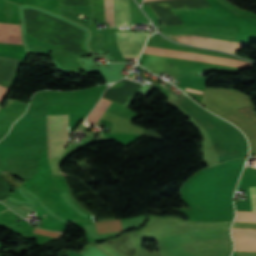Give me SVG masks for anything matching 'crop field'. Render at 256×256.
Segmentation results:
<instances>
[{
  "instance_id": "1",
  "label": "crop field",
  "mask_w": 256,
  "mask_h": 256,
  "mask_svg": "<svg viewBox=\"0 0 256 256\" xmlns=\"http://www.w3.org/2000/svg\"><path fill=\"white\" fill-rule=\"evenodd\" d=\"M163 256H229V230L203 231L158 240Z\"/></svg>"
},
{
  "instance_id": "2",
  "label": "crop field",
  "mask_w": 256,
  "mask_h": 256,
  "mask_svg": "<svg viewBox=\"0 0 256 256\" xmlns=\"http://www.w3.org/2000/svg\"><path fill=\"white\" fill-rule=\"evenodd\" d=\"M53 157L68 143V115H51ZM48 156L52 158L50 115H48Z\"/></svg>"
},
{
  "instance_id": "3",
  "label": "crop field",
  "mask_w": 256,
  "mask_h": 256,
  "mask_svg": "<svg viewBox=\"0 0 256 256\" xmlns=\"http://www.w3.org/2000/svg\"><path fill=\"white\" fill-rule=\"evenodd\" d=\"M169 37L181 43L214 48L218 50L227 51L232 54L236 53L242 47L249 44L247 42L213 38V37L200 36V35L169 36Z\"/></svg>"
},
{
  "instance_id": "4",
  "label": "crop field",
  "mask_w": 256,
  "mask_h": 256,
  "mask_svg": "<svg viewBox=\"0 0 256 256\" xmlns=\"http://www.w3.org/2000/svg\"><path fill=\"white\" fill-rule=\"evenodd\" d=\"M117 45L124 57L138 58L149 33L116 32Z\"/></svg>"
},
{
  "instance_id": "5",
  "label": "crop field",
  "mask_w": 256,
  "mask_h": 256,
  "mask_svg": "<svg viewBox=\"0 0 256 256\" xmlns=\"http://www.w3.org/2000/svg\"><path fill=\"white\" fill-rule=\"evenodd\" d=\"M0 43L23 45L20 36V24H0Z\"/></svg>"
},
{
  "instance_id": "6",
  "label": "crop field",
  "mask_w": 256,
  "mask_h": 256,
  "mask_svg": "<svg viewBox=\"0 0 256 256\" xmlns=\"http://www.w3.org/2000/svg\"><path fill=\"white\" fill-rule=\"evenodd\" d=\"M114 11L116 26H126L130 24L128 0H114Z\"/></svg>"
},
{
  "instance_id": "7",
  "label": "crop field",
  "mask_w": 256,
  "mask_h": 256,
  "mask_svg": "<svg viewBox=\"0 0 256 256\" xmlns=\"http://www.w3.org/2000/svg\"><path fill=\"white\" fill-rule=\"evenodd\" d=\"M98 234L123 231L121 220L95 222Z\"/></svg>"
},
{
  "instance_id": "8",
  "label": "crop field",
  "mask_w": 256,
  "mask_h": 256,
  "mask_svg": "<svg viewBox=\"0 0 256 256\" xmlns=\"http://www.w3.org/2000/svg\"><path fill=\"white\" fill-rule=\"evenodd\" d=\"M111 101L101 98L94 109L87 117V121L95 124L97 120L103 115Z\"/></svg>"
},
{
  "instance_id": "9",
  "label": "crop field",
  "mask_w": 256,
  "mask_h": 256,
  "mask_svg": "<svg viewBox=\"0 0 256 256\" xmlns=\"http://www.w3.org/2000/svg\"><path fill=\"white\" fill-rule=\"evenodd\" d=\"M107 18L114 20L113 0H105Z\"/></svg>"
},
{
  "instance_id": "10",
  "label": "crop field",
  "mask_w": 256,
  "mask_h": 256,
  "mask_svg": "<svg viewBox=\"0 0 256 256\" xmlns=\"http://www.w3.org/2000/svg\"><path fill=\"white\" fill-rule=\"evenodd\" d=\"M34 233H38V234H42V235H46V236H50V237H54V238H56V236L58 235L57 232L43 230V229H39V228H36Z\"/></svg>"
},
{
  "instance_id": "11",
  "label": "crop field",
  "mask_w": 256,
  "mask_h": 256,
  "mask_svg": "<svg viewBox=\"0 0 256 256\" xmlns=\"http://www.w3.org/2000/svg\"><path fill=\"white\" fill-rule=\"evenodd\" d=\"M249 189L252 201V208L253 211H256V187H249Z\"/></svg>"
},
{
  "instance_id": "12",
  "label": "crop field",
  "mask_w": 256,
  "mask_h": 256,
  "mask_svg": "<svg viewBox=\"0 0 256 256\" xmlns=\"http://www.w3.org/2000/svg\"><path fill=\"white\" fill-rule=\"evenodd\" d=\"M185 90H187V91H192V92H196V93H200V94H202V92H199V91H195V90H191V89H185Z\"/></svg>"
},
{
  "instance_id": "13",
  "label": "crop field",
  "mask_w": 256,
  "mask_h": 256,
  "mask_svg": "<svg viewBox=\"0 0 256 256\" xmlns=\"http://www.w3.org/2000/svg\"><path fill=\"white\" fill-rule=\"evenodd\" d=\"M151 4L150 2L143 3V5Z\"/></svg>"
},
{
  "instance_id": "14",
  "label": "crop field",
  "mask_w": 256,
  "mask_h": 256,
  "mask_svg": "<svg viewBox=\"0 0 256 256\" xmlns=\"http://www.w3.org/2000/svg\"><path fill=\"white\" fill-rule=\"evenodd\" d=\"M146 1H153V0H144L143 2H146Z\"/></svg>"
},
{
  "instance_id": "15",
  "label": "crop field",
  "mask_w": 256,
  "mask_h": 256,
  "mask_svg": "<svg viewBox=\"0 0 256 256\" xmlns=\"http://www.w3.org/2000/svg\"><path fill=\"white\" fill-rule=\"evenodd\" d=\"M5 211V210H4ZM3 212V211H2Z\"/></svg>"
}]
</instances>
